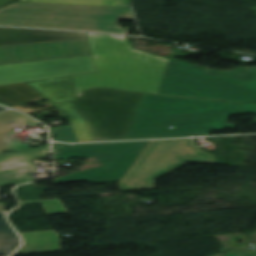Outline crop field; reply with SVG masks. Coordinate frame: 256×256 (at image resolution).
<instances>
[{
  "label": "crop field",
  "instance_id": "obj_17",
  "mask_svg": "<svg viewBox=\"0 0 256 256\" xmlns=\"http://www.w3.org/2000/svg\"><path fill=\"white\" fill-rule=\"evenodd\" d=\"M51 134L56 136L54 141L78 142L71 125L49 129Z\"/></svg>",
  "mask_w": 256,
  "mask_h": 256
},
{
  "label": "crop field",
  "instance_id": "obj_14",
  "mask_svg": "<svg viewBox=\"0 0 256 256\" xmlns=\"http://www.w3.org/2000/svg\"><path fill=\"white\" fill-rule=\"evenodd\" d=\"M19 245L16 233L4 219V213H0V255H9Z\"/></svg>",
  "mask_w": 256,
  "mask_h": 256
},
{
  "label": "crop field",
  "instance_id": "obj_21",
  "mask_svg": "<svg viewBox=\"0 0 256 256\" xmlns=\"http://www.w3.org/2000/svg\"><path fill=\"white\" fill-rule=\"evenodd\" d=\"M5 203L0 204V211H4Z\"/></svg>",
  "mask_w": 256,
  "mask_h": 256
},
{
  "label": "crop field",
  "instance_id": "obj_24",
  "mask_svg": "<svg viewBox=\"0 0 256 256\" xmlns=\"http://www.w3.org/2000/svg\"><path fill=\"white\" fill-rule=\"evenodd\" d=\"M57 145H65V144H57Z\"/></svg>",
  "mask_w": 256,
  "mask_h": 256
},
{
  "label": "crop field",
  "instance_id": "obj_1",
  "mask_svg": "<svg viewBox=\"0 0 256 256\" xmlns=\"http://www.w3.org/2000/svg\"><path fill=\"white\" fill-rule=\"evenodd\" d=\"M238 110L256 113V104L144 94L126 139L207 136L213 130L234 129L226 118Z\"/></svg>",
  "mask_w": 256,
  "mask_h": 256
},
{
  "label": "crop field",
  "instance_id": "obj_10",
  "mask_svg": "<svg viewBox=\"0 0 256 256\" xmlns=\"http://www.w3.org/2000/svg\"><path fill=\"white\" fill-rule=\"evenodd\" d=\"M49 154V146L0 154V187L38 180L30 175L37 171L29 160Z\"/></svg>",
  "mask_w": 256,
  "mask_h": 256
},
{
  "label": "crop field",
  "instance_id": "obj_13",
  "mask_svg": "<svg viewBox=\"0 0 256 256\" xmlns=\"http://www.w3.org/2000/svg\"><path fill=\"white\" fill-rule=\"evenodd\" d=\"M40 97L25 83L0 86V104L9 107Z\"/></svg>",
  "mask_w": 256,
  "mask_h": 256
},
{
  "label": "crop field",
  "instance_id": "obj_20",
  "mask_svg": "<svg viewBox=\"0 0 256 256\" xmlns=\"http://www.w3.org/2000/svg\"><path fill=\"white\" fill-rule=\"evenodd\" d=\"M12 1H15V0H0V6H3V5H5L7 3H10Z\"/></svg>",
  "mask_w": 256,
  "mask_h": 256
},
{
  "label": "crop field",
  "instance_id": "obj_7",
  "mask_svg": "<svg viewBox=\"0 0 256 256\" xmlns=\"http://www.w3.org/2000/svg\"><path fill=\"white\" fill-rule=\"evenodd\" d=\"M97 72L91 56L0 66V85Z\"/></svg>",
  "mask_w": 256,
  "mask_h": 256
},
{
  "label": "crop field",
  "instance_id": "obj_12",
  "mask_svg": "<svg viewBox=\"0 0 256 256\" xmlns=\"http://www.w3.org/2000/svg\"><path fill=\"white\" fill-rule=\"evenodd\" d=\"M23 246L14 254H30L61 250L60 239L55 230L23 233Z\"/></svg>",
  "mask_w": 256,
  "mask_h": 256
},
{
  "label": "crop field",
  "instance_id": "obj_11",
  "mask_svg": "<svg viewBox=\"0 0 256 256\" xmlns=\"http://www.w3.org/2000/svg\"><path fill=\"white\" fill-rule=\"evenodd\" d=\"M85 38L83 33L0 27V45Z\"/></svg>",
  "mask_w": 256,
  "mask_h": 256
},
{
  "label": "crop field",
  "instance_id": "obj_19",
  "mask_svg": "<svg viewBox=\"0 0 256 256\" xmlns=\"http://www.w3.org/2000/svg\"><path fill=\"white\" fill-rule=\"evenodd\" d=\"M241 69V68H237L235 70H232V71H227V72H220L218 71L219 74H222V75H228V76H233L235 74H238V70Z\"/></svg>",
  "mask_w": 256,
  "mask_h": 256
},
{
  "label": "crop field",
  "instance_id": "obj_18",
  "mask_svg": "<svg viewBox=\"0 0 256 256\" xmlns=\"http://www.w3.org/2000/svg\"><path fill=\"white\" fill-rule=\"evenodd\" d=\"M225 256H256V250L251 252L230 251Z\"/></svg>",
  "mask_w": 256,
  "mask_h": 256
},
{
  "label": "crop field",
  "instance_id": "obj_23",
  "mask_svg": "<svg viewBox=\"0 0 256 256\" xmlns=\"http://www.w3.org/2000/svg\"><path fill=\"white\" fill-rule=\"evenodd\" d=\"M3 109H7V108H4V107H0V110H3Z\"/></svg>",
  "mask_w": 256,
  "mask_h": 256
},
{
  "label": "crop field",
  "instance_id": "obj_9",
  "mask_svg": "<svg viewBox=\"0 0 256 256\" xmlns=\"http://www.w3.org/2000/svg\"><path fill=\"white\" fill-rule=\"evenodd\" d=\"M90 55L87 39L0 46V64Z\"/></svg>",
  "mask_w": 256,
  "mask_h": 256
},
{
  "label": "crop field",
  "instance_id": "obj_5",
  "mask_svg": "<svg viewBox=\"0 0 256 256\" xmlns=\"http://www.w3.org/2000/svg\"><path fill=\"white\" fill-rule=\"evenodd\" d=\"M142 95L92 89L73 103L88 117L95 141L124 140Z\"/></svg>",
  "mask_w": 256,
  "mask_h": 256
},
{
  "label": "crop field",
  "instance_id": "obj_16",
  "mask_svg": "<svg viewBox=\"0 0 256 256\" xmlns=\"http://www.w3.org/2000/svg\"><path fill=\"white\" fill-rule=\"evenodd\" d=\"M34 203H42L48 215L68 213L60 199L24 201L21 205Z\"/></svg>",
  "mask_w": 256,
  "mask_h": 256
},
{
  "label": "crop field",
  "instance_id": "obj_22",
  "mask_svg": "<svg viewBox=\"0 0 256 256\" xmlns=\"http://www.w3.org/2000/svg\"><path fill=\"white\" fill-rule=\"evenodd\" d=\"M240 113H249V111H238L236 114H240Z\"/></svg>",
  "mask_w": 256,
  "mask_h": 256
},
{
  "label": "crop field",
  "instance_id": "obj_3",
  "mask_svg": "<svg viewBox=\"0 0 256 256\" xmlns=\"http://www.w3.org/2000/svg\"><path fill=\"white\" fill-rule=\"evenodd\" d=\"M117 20L134 21L130 8L15 2L0 9V25L129 34Z\"/></svg>",
  "mask_w": 256,
  "mask_h": 256
},
{
  "label": "crop field",
  "instance_id": "obj_8",
  "mask_svg": "<svg viewBox=\"0 0 256 256\" xmlns=\"http://www.w3.org/2000/svg\"><path fill=\"white\" fill-rule=\"evenodd\" d=\"M26 84L54 106L58 105L57 108L71 118L79 142L94 141L87 117L72 102L59 105L77 98L71 76Z\"/></svg>",
  "mask_w": 256,
  "mask_h": 256
},
{
  "label": "crop field",
  "instance_id": "obj_25",
  "mask_svg": "<svg viewBox=\"0 0 256 256\" xmlns=\"http://www.w3.org/2000/svg\"><path fill=\"white\" fill-rule=\"evenodd\" d=\"M31 125V124H30Z\"/></svg>",
  "mask_w": 256,
  "mask_h": 256
},
{
  "label": "crop field",
  "instance_id": "obj_4",
  "mask_svg": "<svg viewBox=\"0 0 256 256\" xmlns=\"http://www.w3.org/2000/svg\"><path fill=\"white\" fill-rule=\"evenodd\" d=\"M158 94L227 102L256 101V69H241L238 75L227 77L170 59Z\"/></svg>",
  "mask_w": 256,
  "mask_h": 256
},
{
  "label": "crop field",
  "instance_id": "obj_15",
  "mask_svg": "<svg viewBox=\"0 0 256 256\" xmlns=\"http://www.w3.org/2000/svg\"><path fill=\"white\" fill-rule=\"evenodd\" d=\"M20 1L127 6L125 0H20Z\"/></svg>",
  "mask_w": 256,
  "mask_h": 256
},
{
  "label": "crop field",
  "instance_id": "obj_2",
  "mask_svg": "<svg viewBox=\"0 0 256 256\" xmlns=\"http://www.w3.org/2000/svg\"><path fill=\"white\" fill-rule=\"evenodd\" d=\"M87 36L98 73L72 76L78 97L95 87L158 93L169 59L133 49L126 36Z\"/></svg>",
  "mask_w": 256,
  "mask_h": 256
},
{
  "label": "crop field",
  "instance_id": "obj_6",
  "mask_svg": "<svg viewBox=\"0 0 256 256\" xmlns=\"http://www.w3.org/2000/svg\"><path fill=\"white\" fill-rule=\"evenodd\" d=\"M149 141L55 146V159L97 156L104 167L57 178V183L88 180L97 184L120 181Z\"/></svg>",
  "mask_w": 256,
  "mask_h": 256
}]
</instances>
